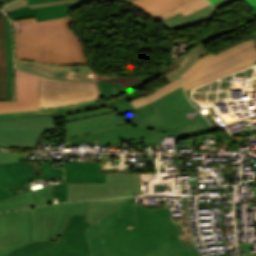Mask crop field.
<instances>
[{"instance_id": "1", "label": "crop field", "mask_w": 256, "mask_h": 256, "mask_svg": "<svg viewBox=\"0 0 256 256\" xmlns=\"http://www.w3.org/2000/svg\"><path fill=\"white\" fill-rule=\"evenodd\" d=\"M71 18L36 22L35 18L13 22L16 59L45 63L87 64L76 35L69 28Z\"/></svg>"}, {"instance_id": "2", "label": "crop field", "mask_w": 256, "mask_h": 256, "mask_svg": "<svg viewBox=\"0 0 256 256\" xmlns=\"http://www.w3.org/2000/svg\"><path fill=\"white\" fill-rule=\"evenodd\" d=\"M89 201L0 213V256L33 241H58L71 214H86Z\"/></svg>"}, {"instance_id": "3", "label": "crop field", "mask_w": 256, "mask_h": 256, "mask_svg": "<svg viewBox=\"0 0 256 256\" xmlns=\"http://www.w3.org/2000/svg\"><path fill=\"white\" fill-rule=\"evenodd\" d=\"M116 111V113L127 123L136 126L147 128L151 130H157L161 132H167L166 134L157 136V143L162 144V137L168 135H174L176 141L190 136H196L213 132L214 129L204 118L198 119L179 127H172L163 119V117L150 105L135 109L130 102L114 106V108L106 110H95L80 114H75L66 117V122L97 116L109 112Z\"/></svg>"}, {"instance_id": "4", "label": "crop field", "mask_w": 256, "mask_h": 256, "mask_svg": "<svg viewBox=\"0 0 256 256\" xmlns=\"http://www.w3.org/2000/svg\"><path fill=\"white\" fill-rule=\"evenodd\" d=\"M254 59H256V44L251 39L218 55L211 53L199 59L180 77L186 91L249 67Z\"/></svg>"}, {"instance_id": "5", "label": "crop field", "mask_w": 256, "mask_h": 256, "mask_svg": "<svg viewBox=\"0 0 256 256\" xmlns=\"http://www.w3.org/2000/svg\"><path fill=\"white\" fill-rule=\"evenodd\" d=\"M163 205L162 208H145L135 204L138 224L133 230L137 256H172L168 235L179 232L170 218L168 203Z\"/></svg>"}, {"instance_id": "6", "label": "crop field", "mask_w": 256, "mask_h": 256, "mask_svg": "<svg viewBox=\"0 0 256 256\" xmlns=\"http://www.w3.org/2000/svg\"><path fill=\"white\" fill-rule=\"evenodd\" d=\"M86 215H72L58 242H33L12 251L8 256H90L84 222Z\"/></svg>"}, {"instance_id": "7", "label": "crop field", "mask_w": 256, "mask_h": 256, "mask_svg": "<svg viewBox=\"0 0 256 256\" xmlns=\"http://www.w3.org/2000/svg\"><path fill=\"white\" fill-rule=\"evenodd\" d=\"M98 222L106 256H136L132 230L137 224L134 197Z\"/></svg>"}, {"instance_id": "8", "label": "crop field", "mask_w": 256, "mask_h": 256, "mask_svg": "<svg viewBox=\"0 0 256 256\" xmlns=\"http://www.w3.org/2000/svg\"><path fill=\"white\" fill-rule=\"evenodd\" d=\"M101 98L96 83L67 82L39 76V109L60 107Z\"/></svg>"}, {"instance_id": "9", "label": "crop field", "mask_w": 256, "mask_h": 256, "mask_svg": "<svg viewBox=\"0 0 256 256\" xmlns=\"http://www.w3.org/2000/svg\"><path fill=\"white\" fill-rule=\"evenodd\" d=\"M140 195L139 173L106 174V183H68V201Z\"/></svg>"}, {"instance_id": "10", "label": "crop field", "mask_w": 256, "mask_h": 256, "mask_svg": "<svg viewBox=\"0 0 256 256\" xmlns=\"http://www.w3.org/2000/svg\"><path fill=\"white\" fill-rule=\"evenodd\" d=\"M52 128L51 116H31L0 121V146L35 149L45 129Z\"/></svg>"}, {"instance_id": "11", "label": "crop field", "mask_w": 256, "mask_h": 256, "mask_svg": "<svg viewBox=\"0 0 256 256\" xmlns=\"http://www.w3.org/2000/svg\"><path fill=\"white\" fill-rule=\"evenodd\" d=\"M15 100L0 101V113L38 109V76L15 68Z\"/></svg>"}, {"instance_id": "12", "label": "crop field", "mask_w": 256, "mask_h": 256, "mask_svg": "<svg viewBox=\"0 0 256 256\" xmlns=\"http://www.w3.org/2000/svg\"><path fill=\"white\" fill-rule=\"evenodd\" d=\"M162 134L157 131H150L141 128H135L128 124L115 128L95 132L88 135H83L67 140V144H73L99 138L100 145H112L120 142H125L133 139L145 137V143L155 144L156 135ZM72 142V143H70Z\"/></svg>"}, {"instance_id": "13", "label": "crop field", "mask_w": 256, "mask_h": 256, "mask_svg": "<svg viewBox=\"0 0 256 256\" xmlns=\"http://www.w3.org/2000/svg\"><path fill=\"white\" fill-rule=\"evenodd\" d=\"M151 105L172 127L203 117L199 113L191 120L186 118V113L196 112L197 110L187 100L183 88L160 98L159 100L151 103Z\"/></svg>"}, {"instance_id": "14", "label": "crop field", "mask_w": 256, "mask_h": 256, "mask_svg": "<svg viewBox=\"0 0 256 256\" xmlns=\"http://www.w3.org/2000/svg\"><path fill=\"white\" fill-rule=\"evenodd\" d=\"M15 66H17L20 69L50 78L98 81L97 74L89 65L59 66L39 64L33 62L15 61Z\"/></svg>"}, {"instance_id": "15", "label": "crop field", "mask_w": 256, "mask_h": 256, "mask_svg": "<svg viewBox=\"0 0 256 256\" xmlns=\"http://www.w3.org/2000/svg\"><path fill=\"white\" fill-rule=\"evenodd\" d=\"M100 165H64V183L54 185V197L67 201V182H105V174L99 173Z\"/></svg>"}, {"instance_id": "16", "label": "crop field", "mask_w": 256, "mask_h": 256, "mask_svg": "<svg viewBox=\"0 0 256 256\" xmlns=\"http://www.w3.org/2000/svg\"><path fill=\"white\" fill-rule=\"evenodd\" d=\"M53 203V185L0 201V212Z\"/></svg>"}, {"instance_id": "17", "label": "crop field", "mask_w": 256, "mask_h": 256, "mask_svg": "<svg viewBox=\"0 0 256 256\" xmlns=\"http://www.w3.org/2000/svg\"><path fill=\"white\" fill-rule=\"evenodd\" d=\"M67 124V139L118 125L125 122L115 113L74 121ZM73 135V136H71Z\"/></svg>"}, {"instance_id": "18", "label": "crop field", "mask_w": 256, "mask_h": 256, "mask_svg": "<svg viewBox=\"0 0 256 256\" xmlns=\"http://www.w3.org/2000/svg\"><path fill=\"white\" fill-rule=\"evenodd\" d=\"M80 6L78 2L30 9L25 6L6 13L10 20L34 15L37 21L68 16L69 8Z\"/></svg>"}, {"instance_id": "19", "label": "crop field", "mask_w": 256, "mask_h": 256, "mask_svg": "<svg viewBox=\"0 0 256 256\" xmlns=\"http://www.w3.org/2000/svg\"><path fill=\"white\" fill-rule=\"evenodd\" d=\"M220 15L218 10L213 6L209 5L203 9H200L188 16H184L181 13L162 21V23L170 30H176L181 28H186L209 18Z\"/></svg>"}, {"instance_id": "20", "label": "crop field", "mask_w": 256, "mask_h": 256, "mask_svg": "<svg viewBox=\"0 0 256 256\" xmlns=\"http://www.w3.org/2000/svg\"><path fill=\"white\" fill-rule=\"evenodd\" d=\"M128 198L129 197L90 201L85 221L90 224L94 223L98 219L110 214L126 202Z\"/></svg>"}, {"instance_id": "21", "label": "crop field", "mask_w": 256, "mask_h": 256, "mask_svg": "<svg viewBox=\"0 0 256 256\" xmlns=\"http://www.w3.org/2000/svg\"><path fill=\"white\" fill-rule=\"evenodd\" d=\"M128 2L146 14L151 16L152 18L164 13L188 0H123Z\"/></svg>"}, {"instance_id": "22", "label": "crop field", "mask_w": 256, "mask_h": 256, "mask_svg": "<svg viewBox=\"0 0 256 256\" xmlns=\"http://www.w3.org/2000/svg\"><path fill=\"white\" fill-rule=\"evenodd\" d=\"M181 235L177 236L184 251L197 250L191 237L188 224L187 201H183L181 217H172Z\"/></svg>"}, {"instance_id": "23", "label": "crop field", "mask_w": 256, "mask_h": 256, "mask_svg": "<svg viewBox=\"0 0 256 256\" xmlns=\"http://www.w3.org/2000/svg\"><path fill=\"white\" fill-rule=\"evenodd\" d=\"M209 53L211 52L205 49L201 44L198 45L196 48H194L192 51L185 55L184 59L181 62L180 68L165 74V78L168 79L170 82L178 79L179 76L185 70H187L195 61Z\"/></svg>"}, {"instance_id": "24", "label": "crop field", "mask_w": 256, "mask_h": 256, "mask_svg": "<svg viewBox=\"0 0 256 256\" xmlns=\"http://www.w3.org/2000/svg\"><path fill=\"white\" fill-rule=\"evenodd\" d=\"M0 99H7L5 31H4V18L2 17H0Z\"/></svg>"}, {"instance_id": "25", "label": "crop field", "mask_w": 256, "mask_h": 256, "mask_svg": "<svg viewBox=\"0 0 256 256\" xmlns=\"http://www.w3.org/2000/svg\"><path fill=\"white\" fill-rule=\"evenodd\" d=\"M5 31H6V56H7V95L8 99H12V70H13V58H12V37H11V25L9 19L5 18Z\"/></svg>"}, {"instance_id": "26", "label": "crop field", "mask_w": 256, "mask_h": 256, "mask_svg": "<svg viewBox=\"0 0 256 256\" xmlns=\"http://www.w3.org/2000/svg\"><path fill=\"white\" fill-rule=\"evenodd\" d=\"M103 100L104 99L101 98L99 100L82 103L78 105L60 107L58 108L59 113H54L53 115L57 116V118H63L74 113L85 112V111L107 107V105L104 103Z\"/></svg>"}, {"instance_id": "27", "label": "crop field", "mask_w": 256, "mask_h": 256, "mask_svg": "<svg viewBox=\"0 0 256 256\" xmlns=\"http://www.w3.org/2000/svg\"><path fill=\"white\" fill-rule=\"evenodd\" d=\"M89 241L91 256H105L103 240L98 226V222L86 229Z\"/></svg>"}, {"instance_id": "28", "label": "crop field", "mask_w": 256, "mask_h": 256, "mask_svg": "<svg viewBox=\"0 0 256 256\" xmlns=\"http://www.w3.org/2000/svg\"><path fill=\"white\" fill-rule=\"evenodd\" d=\"M207 5H209V3L206 0H191L175 9L168 11L162 15H159L153 19L155 21H161V20L167 19L179 12H181L182 14H184L186 16V15H188L202 7H205Z\"/></svg>"}, {"instance_id": "29", "label": "crop field", "mask_w": 256, "mask_h": 256, "mask_svg": "<svg viewBox=\"0 0 256 256\" xmlns=\"http://www.w3.org/2000/svg\"><path fill=\"white\" fill-rule=\"evenodd\" d=\"M181 86H182L181 80L178 79L174 82H171V83L165 85L164 87L160 88L159 90L155 91L154 93H152L150 95H147L145 97H142V98L134 100V101H131V103L133 104V106L135 108L143 106L145 104H148V103L174 91L175 89H177Z\"/></svg>"}, {"instance_id": "30", "label": "crop field", "mask_w": 256, "mask_h": 256, "mask_svg": "<svg viewBox=\"0 0 256 256\" xmlns=\"http://www.w3.org/2000/svg\"><path fill=\"white\" fill-rule=\"evenodd\" d=\"M3 165L10 176H35L37 173L30 165V163H7Z\"/></svg>"}, {"instance_id": "31", "label": "crop field", "mask_w": 256, "mask_h": 256, "mask_svg": "<svg viewBox=\"0 0 256 256\" xmlns=\"http://www.w3.org/2000/svg\"><path fill=\"white\" fill-rule=\"evenodd\" d=\"M147 78H150V77H147ZM147 78L136 79V78H131V77L101 75L99 81L118 83V84L126 87L128 90L133 87L132 84L137 83L142 80H145Z\"/></svg>"}, {"instance_id": "32", "label": "crop field", "mask_w": 256, "mask_h": 256, "mask_svg": "<svg viewBox=\"0 0 256 256\" xmlns=\"http://www.w3.org/2000/svg\"><path fill=\"white\" fill-rule=\"evenodd\" d=\"M58 112L56 108L44 109V110H35V111H25V112H16V113H6L0 114V119H11L16 120L17 117L31 116V115H51V113Z\"/></svg>"}, {"instance_id": "33", "label": "crop field", "mask_w": 256, "mask_h": 256, "mask_svg": "<svg viewBox=\"0 0 256 256\" xmlns=\"http://www.w3.org/2000/svg\"><path fill=\"white\" fill-rule=\"evenodd\" d=\"M32 178L33 177H12L16 184L1 188L0 200L16 195V191H13L11 194L8 191L25 187L23 183L30 181Z\"/></svg>"}, {"instance_id": "34", "label": "crop field", "mask_w": 256, "mask_h": 256, "mask_svg": "<svg viewBox=\"0 0 256 256\" xmlns=\"http://www.w3.org/2000/svg\"><path fill=\"white\" fill-rule=\"evenodd\" d=\"M147 80H148V79H147ZM147 80H145V81H147ZM145 81H142V82H139V83H137V84H134V87H135V88L139 87V86H140L141 84H143ZM135 88H133V89H131V90H129V91H132V90H134ZM129 91H125V92H123V93H121V94H118V95H116V96H114V97H117V96H119V95L128 93ZM114 97H112V98H114ZM140 97H142V96L140 95V93H139L138 91L131 92V93H129V94H127V95H125V96L122 97L120 104H121V103H124V102H128V101L134 100V99H137V98H140ZM109 99H111V98H109ZM106 100H108V99H106ZM106 100H105V101H106ZM117 101H118V98H117V99H114V100L107 101V102H105V103H106L108 106H113V105H116Z\"/></svg>"}, {"instance_id": "35", "label": "crop field", "mask_w": 256, "mask_h": 256, "mask_svg": "<svg viewBox=\"0 0 256 256\" xmlns=\"http://www.w3.org/2000/svg\"><path fill=\"white\" fill-rule=\"evenodd\" d=\"M75 1H78V0H61V1L40 3V4H32V5H29V6H30V8H33V7L46 6V5H54V4L75 2ZM25 5H28L25 0H19V1L15 2V3L9 5L8 7H6L5 11L8 12V11H11V10H15V9H18V8L23 7Z\"/></svg>"}, {"instance_id": "36", "label": "crop field", "mask_w": 256, "mask_h": 256, "mask_svg": "<svg viewBox=\"0 0 256 256\" xmlns=\"http://www.w3.org/2000/svg\"><path fill=\"white\" fill-rule=\"evenodd\" d=\"M173 256H201L198 251L183 252L176 236H169Z\"/></svg>"}, {"instance_id": "37", "label": "crop field", "mask_w": 256, "mask_h": 256, "mask_svg": "<svg viewBox=\"0 0 256 256\" xmlns=\"http://www.w3.org/2000/svg\"><path fill=\"white\" fill-rule=\"evenodd\" d=\"M29 156L30 153L0 152V163L20 161L19 159Z\"/></svg>"}, {"instance_id": "38", "label": "crop field", "mask_w": 256, "mask_h": 256, "mask_svg": "<svg viewBox=\"0 0 256 256\" xmlns=\"http://www.w3.org/2000/svg\"><path fill=\"white\" fill-rule=\"evenodd\" d=\"M51 165L52 163H41L43 175H63V169L52 170Z\"/></svg>"}, {"instance_id": "39", "label": "crop field", "mask_w": 256, "mask_h": 256, "mask_svg": "<svg viewBox=\"0 0 256 256\" xmlns=\"http://www.w3.org/2000/svg\"><path fill=\"white\" fill-rule=\"evenodd\" d=\"M10 184H14V181L11 179V177L3 168V166H1L0 167V188Z\"/></svg>"}, {"instance_id": "40", "label": "crop field", "mask_w": 256, "mask_h": 256, "mask_svg": "<svg viewBox=\"0 0 256 256\" xmlns=\"http://www.w3.org/2000/svg\"><path fill=\"white\" fill-rule=\"evenodd\" d=\"M233 1H235V0H220V1L216 2V3H214L213 5L217 9H219V8L225 6V5H227V4H229V3L233 2Z\"/></svg>"}, {"instance_id": "41", "label": "crop field", "mask_w": 256, "mask_h": 256, "mask_svg": "<svg viewBox=\"0 0 256 256\" xmlns=\"http://www.w3.org/2000/svg\"><path fill=\"white\" fill-rule=\"evenodd\" d=\"M47 178H63V176H39L33 179H47Z\"/></svg>"}, {"instance_id": "42", "label": "crop field", "mask_w": 256, "mask_h": 256, "mask_svg": "<svg viewBox=\"0 0 256 256\" xmlns=\"http://www.w3.org/2000/svg\"><path fill=\"white\" fill-rule=\"evenodd\" d=\"M47 1H54V0H27L28 4L47 2Z\"/></svg>"}, {"instance_id": "43", "label": "crop field", "mask_w": 256, "mask_h": 256, "mask_svg": "<svg viewBox=\"0 0 256 256\" xmlns=\"http://www.w3.org/2000/svg\"><path fill=\"white\" fill-rule=\"evenodd\" d=\"M252 10L254 16H256V8L254 6H252L251 4H249L248 2H246L245 0H243Z\"/></svg>"}, {"instance_id": "44", "label": "crop field", "mask_w": 256, "mask_h": 256, "mask_svg": "<svg viewBox=\"0 0 256 256\" xmlns=\"http://www.w3.org/2000/svg\"><path fill=\"white\" fill-rule=\"evenodd\" d=\"M211 3H214V2H216V1H218V0H209ZM246 1H248L249 3H251L252 5H254V6H256V0H246Z\"/></svg>"}, {"instance_id": "45", "label": "crop field", "mask_w": 256, "mask_h": 256, "mask_svg": "<svg viewBox=\"0 0 256 256\" xmlns=\"http://www.w3.org/2000/svg\"><path fill=\"white\" fill-rule=\"evenodd\" d=\"M64 164H98V163H70V162H64Z\"/></svg>"}, {"instance_id": "46", "label": "crop field", "mask_w": 256, "mask_h": 256, "mask_svg": "<svg viewBox=\"0 0 256 256\" xmlns=\"http://www.w3.org/2000/svg\"><path fill=\"white\" fill-rule=\"evenodd\" d=\"M87 1H90V0H79V3L82 4V3L87 2Z\"/></svg>"}, {"instance_id": "47", "label": "crop field", "mask_w": 256, "mask_h": 256, "mask_svg": "<svg viewBox=\"0 0 256 256\" xmlns=\"http://www.w3.org/2000/svg\"><path fill=\"white\" fill-rule=\"evenodd\" d=\"M253 191H254V196H256V187H252Z\"/></svg>"}, {"instance_id": "48", "label": "crop field", "mask_w": 256, "mask_h": 256, "mask_svg": "<svg viewBox=\"0 0 256 256\" xmlns=\"http://www.w3.org/2000/svg\"><path fill=\"white\" fill-rule=\"evenodd\" d=\"M252 36H253V38H254V40H255V42H256V33L253 34Z\"/></svg>"}, {"instance_id": "49", "label": "crop field", "mask_w": 256, "mask_h": 256, "mask_svg": "<svg viewBox=\"0 0 256 256\" xmlns=\"http://www.w3.org/2000/svg\"><path fill=\"white\" fill-rule=\"evenodd\" d=\"M100 2H104V1H111V0H99Z\"/></svg>"}]
</instances>
